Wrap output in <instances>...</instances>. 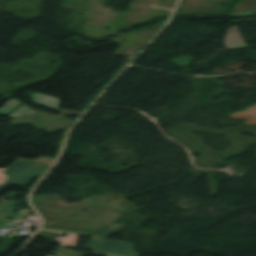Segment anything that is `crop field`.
Masks as SVG:
<instances>
[{
	"mask_svg": "<svg viewBox=\"0 0 256 256\" xmlns=\"http://www.w3.org/2000/svg\"><path fill=\"white\" fill-rule=\"evenodd\" d=\"M123 225L124 224L111 225L99 235L87 233V232L65 230V229H58V228H51V227H42V228L61 231V232L95 236L94 239L87 246L84 247V249L121 254V255H127V256H139L140 253L133 252L132 250V247L134 244L107 239L109 236H111L115 231H117Z\"/></svg>",
	"mask_w": 256,
	"mask_h": 256,
	"instance_id": "obj_1",
	"label": "crop field"
},
{
	"mask_svg": "<svg viewBox=\"0 0 256 256\" xmlns=\"http://www.w3.org/2000/svg\"><path fill=\"white\" fill-rule=\"evenodd\" d=\"M54 161L41 160L34 163L17 161L6 168L3 174L7 176L6 180L0 185L7 187L14 184L20 187L26 186L34 177L39 179L50 169Z\"/></svg>",
	"mask_w": 256,
	"mask_h": 256,
	"instance_id": "obj_2",
	"label": "crop field"
},
{
	"mask_svg": "<svg viewBox=\"0 0 256 256\" xmlns=\"http://www.w3.org/2000/svg\"><path fill=\"white\" fill-rule=\"evenodd\" d=\"M3 188L0 187V191ZM18 194L12 192L2 198H0L2 201L0 202V221L6 222L7 218L9 215L15 211L18 202L13 201V199L17 196Z\"/></svg>",
	"mask_w": 256,
	"mask_h": 256,
	"instance_id": "obj_3",
	"label": "crop field"
},
{
	"mask_svg": "<svg viewBox=\"0 0 256 256\" xmlns=\"http://www.w3.org/2000/svg\"><path fill=\"white\" fill-rule=\"evenodd\" d=\"M224 42L227 49L246 47L236 26L227 29Z\"/></svg>",
	"mask_w": 256,
	"mask_h": 256,
	"instance_id": "obj_4",
	"label": "crop field"
},
{
	"mask_svg": "<svg viewBox=\"0 0 256 256\" xmlns=\"http://www.w3.org/2000/svg\"><path fill=\"white\" fill-rule=\"evenodd\" d=\"M31 96L34 99L32 103L40 104V105L55 108V109H57L59 105L58 99H55L49 96H45L36 92L32 93Z\"/></svg>",
	"mask_w": 256,
	"mask_h": 256,
	"instance_id": "obj_5",
	"label": "crop field"
},
{
	"mask_svg": "<svg viewBox=\"0 0 256 256\" xmlns=\"http://www.w3.org/2000/svg\"><path fill=\"white\" fill-rule=\"evenodd\" d=\"M21 102L17 99L8 100L3 109H0V114H6L16 108Z\"/></svg>",
	"mask_w": 256,
	"mask_h": 256,
	"instance_id": "obj_6",
	"label": "crop field"
},
{
	"mask_svg": "<svg viewBox=\"0 0 256 256\" xmlns=\"http://www.w3.org/2000/svg\"><path fill=\"white\" fill-rule=\"evenodd\" d=\"M192 60L193 58L189 56H183V57L176 58L170 62L178 67H182V66H187Z\"/></svg>",
	"mask_w": 256,
	"mask_h": 256,
	"instance_id": "obj_7",
	"label": "crop field"
},
{
	"mask_svg": "<svg viewBox=\"0 0 256 256\" xmlns=\"http://www.w3.org/2000/svg\"><path fill=\"white\" fill-rule=\"evenodd\" d=\"M36 111L32 110L31 108H29L26 105L21 106L18 110H16L15 112H13L11 115L14 117H18V116H22V115H26V114H31V113H35Z\"/></svg>",
	"mask_w": 256,
	"mask_h": 256,
	"instance_id": "obj_8",
	"label": "crop field"
},
{
	"mask_svg": "<svg viewBox=\"0 0 256 256\" xmlns=\"http://www.w3.org/2000/svg\"><path fill=\"white\" fill-rule=\"evenodd\" d=\"M15 240H11L7 237H4L2 235H0V242L3 243L2 245H0V251L5 253L7 250L10 249V247H8L11 243H13Z\"/></svg>",
	"mask_w": 256,
	"mask_h": 256,
	"instance_id": "obj_9",
	"label": "crop field"
},
{
	"mask_svg": "<svg viewBox=\"0 0 256 256\" xmlns=\"http://www.w3.org/2000/svg\"><path fill=\"white\" fill-rule=\"evenodd\" d=\"M76 239H77V236L76 235H73L71 237H68L64 240V242H62L60 244V246H67V247H75L76 245Z\"/></svg>",
	"mask_w": 256,
	"mask_h": 256,
	"instance_id": "obj_10",
	"label": "crop field"
}]
</instances>
